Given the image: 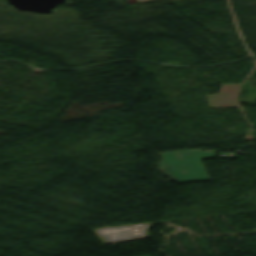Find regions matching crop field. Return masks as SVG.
Returning <instances> with one entry per match:
<instances>
[{
  "mask_svg": "<svg viewBox=\"0 0 256 256\" xmlns=\"http://www.w3.org/2000/svg\"><path fill=\"white\" fill-rule=\"evenodd\" d=\"M142 1H154V0H137V2H142Z\"/></svg>",
  "mask_w": 256,
  "mask_h": 256,
  "instance_id": "obj_2",
  "label": "crop field"
},
{
  "mask_svg": "<svg viewBox=\"0 0 256 256\" xmlns=\"http://www.w3.org/2000/svg\"><path fill=\"white\" fill-rule=\"evenodd\" d=\"M240 84L222 85L221 94H210L209 102L211 107L237 106L234 95Z\"/></svg>",
  "mask_w": 256,
  "mask_h": 256,
  "instance_id": "obj_1",
  "label": "crop field"
}]
</instances>
